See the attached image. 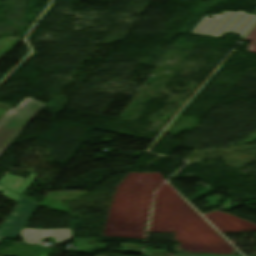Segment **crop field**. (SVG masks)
I'll list each match as a JSON object with an SVG mask.
<instances>
[{"label": "crop field", "instance_id": "obj_1", "mask_svg": "<svg viewBox=\"0 0 256 256\" xmlns=\"http://www.w3.org/2000/svg\"><path fill=\"white\" fill-rule=\"evenodd\" d=\"M247 14L241 11H223L221 15H205L191 33L220 37L225 32H235L243 38L256 23V17ZM208 16L214 18H208Z\"/></svg>", "mask_w": 256, "mask_h": 256}, {"label": "crop field", "instance_id": "obj_2", "mask_svg": "<svg viewBox=\"0 0 256 256\" xmlns=\"http://www.w3.org/2000/svg\"><path fill=\"white\" fill-rule=\"evenodd\" d=\"M44 106L26 98L18 108L7 112L0 120V156Z\"/></svg>", "mask_w": 256, "mask_h": 256}, {"label": "crop field", "instance_id": "obj_3", "mask_svg": "<svg viewBox=\"0 0 256 256\" xmlns=\"http://www.w3.org/2000/svg\"><path fill=\"white\" fill-rule=\"evenodd\" d=\"M18 202V208L7 217L0 228V243L5 237L16 238L38 206L23 197Z\"/></svg>", "mask_w": 256, "mask_h": 256}, {"label": "crop field", "instance_id": "obj_4", "mask_svg": "<svg viewBox=\"0 0 256 256\" xmlns=\"http://www.w3.org/2000/svg\"><path fill=\"white\" fill-rule=\"evenodd\" d=\"M38 177V175L32 173L28 179H24L18 176L5 175L0 181V184L14 190L15 192L23 195V193L31 186L32 182ZM3 195L9 198L10 200L16 202L21 197L20 195L6 189L0 185V191H3Z\"/></svg>", "mask_w": 256, "mask_h": 256}, {"label": "crop field", "instance_id": "obj_5", "mask_svg": "<svg viewBox=\"0 0 256 256\" xmlns=\"http://www.w3.org/2000/svg\"><path fill=\"white\" fill-rule=\"evenodd\" d=\"M24 238V243L41 246V237H54L57 244L72 238L71 229L68 230H34L23 229L19 235Z\"/></svg>", "mask_w": 256, "mask_h": 256}, {"label": "crop field", "instance_id": "obj_6", "mask_svg": "<svg viewBox=\"0 0 256 256\" xmlns=\"http://www.w3.org/2000/svg\"><path fill=\"white\" fill-rule=\"evenodd\" d=\"M20 40L12 38H3L0 41V58L5 55Z\"/></svg>", "mask_w": 256, "mask_h": 256}, {"label": "crop field", "instance_id": "obj_7", "mask_svg": "<svg viewBox=\"0 0 256 256\" xmlns=\"http://www.w3.org/2000/svg\"><path fill=\"white\" fill-rule=\"evenodd\" d=\"M246 41L251 42L249 44V50L250 52H255L256 53V27L255 29L251 32V34L248 36Z\"/></svg>", "mask_w": 256, "mask_h": 256}, {"label": "crop field", "instance_id": "obj_8", "mask_svg": "<svg viewBox=\"0 0 256 256\" xmlns=\"http://www.w3.org/2000/svg\"><path fill=\"white\" fill-rule=\"evenodd\" d=\"M175 256H241V255H199V254H178Z\"/></svg>", "mask_w": 256, "mask_h": 256}, {"label": "crop field", "instance_id": "obj_9", "mask_svg": "<svg viewBox=\"0 0 256 256\" xmlns=\"http://www.w3.org/2000/svg\"><path fill=\"white\" fill-rule=\"evenodd\" d=\"M11 107L0 104V119L6 114Z\"/></svg>", "mask_w": 256, "mask_h": 256}]
</instances>
